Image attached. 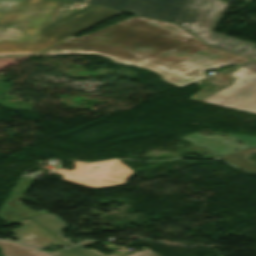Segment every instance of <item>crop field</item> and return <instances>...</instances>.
Segmentation results:
<instances>
[{
    "instance_id": "5a996713",
    "label": "crop field",
    "mask_w": 256,
    "mask_h": 256,
    "mask_svg": "<svg viewBox=\"0 0 256 256\" xmlns=\"http://www.w3.org/2000/svg\"><path fill=\"white\" fill-rule=\"evenodd\" d=\"M32 219L58 238H60L62 235L60 230L68 227L65 224L64 220H62L54 215H51L49 213L32 218ZM60 239H62V238H60ZM62 240L70 246L73 245V243L71 242L72 240L69 238L62 239Z\"/></svg>"
},
{
    "instance_id": "8a807250",
    "label": "crop field",
    "mask_w": 256,
    "mask_h": 256,
    "mask_svg": "<svg viewBox=\"0 0 256 256\" xmlns=\"http://www.w3.org/2000/svg\"><path fill=\"white\" fill-rule=\"evenodd\" d=\"M50 49L88 51L115 57L187 82L207 77L203 73L207 69L251 61L209 48L172 23L140 17H132L79 39L70 38Z\"/></svg>"
},
{
    "instance_id": "d1516ede",
    "label": "crop field",
    "mask_w": 256,
    "mask_h": 256,
    "mask_svg": "<svg viewBox=\"0 0 256 256\" xmlns=\"http://www.w3.org/2000/svg\"><path fill=\"white\" fill-rule=\"evenodd\" d=\"M92 242H95V241H85V242H83V243H81V244H79V245H77L73 248L77 249L78 251H80L81 253H83L86 256H106L105 254H103V253H101V252H99L95 249L85 250V249L81 248V246L92 243ZM107 256H117V255H115L113 253V254L107 255Z\"/></svg>"
},
{
    "instance_id": "e52e79f7",
    "label": "crop field",
    "mask_w": 256,
    "mask_h": 256,
    "mask_svg": "<svg viewBox=\"0 0 256 256\" xmlns=\"http://www.w3.org/2000/svg\"><path fill=\"white\" fill-rule=\"evenodd\" d=\"M256 74V61L245 64ZM252 83V82H251ZM219 106L256 113V80L219 104Z\"/></svg>"
},
{
    "instance_id": "5142ce71",
    "label": "crop field",
    "mask_w": 256,
    "mask_h": 256,
    "mask_svg": "<svg viewBox=\"0 0 256 256\" xmlns=\"http://www.w3.org/2000/svg\"><path fill=\"white\" fill-rule=\"evenodd\" d=\"M75 1H81V2H85V0H75Z\"/></svg>"
},
{
    "instance_id": "f4fd0767",
    "label": "crop field",
    "mask_w": 256,
    "mask_h": 256,
    "mask_svg": "<svg viewBox=\"0 0 256 256\" xmlns=\"http://www.w3.org/2000/svg\"><path fill=\"white\" fill-rule=\"evenodd\" d=\"M182 139L190 141L193 145L207 148L213 155L223 156L236 150H243L256 145V137L230 134L227 138L219 136H201L197 133L191 134ZM230 139V141H227ZM239 141L243 146L235 143Z\"/></svg>"
},
{
    "instance_id": "ac0d7876",
    "label": "crop field",
    "mask_w": 256,
    "mask_h": 256,
    "mask_svg": "<svg viewBox=\"0 0 256 256\" xmlns=\"http://www.w3.org/2000/svg\"><path fill=\"white\" fill-rule=\"evenodd\" d=\"M119 13L61 0H0V56L33 55Z\"/></svg>"
},
{
    "instance_id": "34b2d1b8",
    "label": "crop field",
    "mask_w": 256,
    "mask_h": 256,
    "mask_svg": "<svg viewBox=\"0 0 256 256\" xmlns=\"http://www.w3.org/2000/svg\"><path fill=\"white\" fill-rule=\"evenodd\" d=\"M121 12L174 22L206 44L256 59V45L214 33L227 5L219 0H86Z\"/></svg>"
},
{
    "instance_id": "d8731c3e",
    "label": "crop field",
    "mask_w": 256,
    "mask_h": 256,
    "mask_svg": "<svg viewBox=\"0 0 256 256\" xmlns=\"http://www.w3.org/2000/svg\"><path fill=\"white\" fill-rule=\"evenodd\" d=\"M1 254L4 256H84L76 250L60 249L54 252H41L17 242L0 240Z\"/></svg>"
},
{
    "instance_id": "22f410ed",
    "label": "crop field",
    "mask_w": 256,
    "mask_h": 256,
    "mask_svg": "<svg viewBox=\"0 0 256 256\" xmlns=\"http://www.w3.org/2000/svg\"><path fill=\"white\" fill-rule=\"evenodd\" d=\"M128 256H159V255L154 253L153 251L147 249V250H144V251H141V252H138V253H135V254H131V255H128Z\"/></svg>"
},
{
    "instance_id": "412701ff",
    "label": "crop field",
    "mask_w": 256,
    "mask_h": 256,
    "mask_svg": "<svg viewBox=\"0 0 256 256\" xmlns=\"http://www.w3.org/2000/svg\"><path fill=\"white\" fill-rule=\"evenodd\" d=\"M254 79H256V75L243 65L232 74H220L206 79L220 88L203 90L191 99L217 105L250 84Z\"/></svg>"
},
{
    "instance_id": "cbeb9de0",
    "label": "crop field",
    "mask_w": 256,
    "mask_h": 256,
    "mask_svg": "<svg viewBox=\"0 0 256 256\" xmlns=\"http://www.w3.org/2000/svg\"><path fill=\"white\" fill-rule=\"evenodd\" d=\"M245 151H247V152L256 151V146H255V147H252V148H249V149H246Z\"/></svg>"
},
{
    "instance_id": "dd49c442",
    "label": "crop field",
    "mask_w": 256,
    "mask_h": 256,
    "mask_svg": "<svg viewBox=\"0 0 256 256\" xmlns=\"http://www.w3.org/2000/svg\"><path fill=\"white\" fill-rule=\"evenodd\" d=\"M19 224L23 228L12 230V232L16 234L13 238L20 242L36 248H46L50 244L68 247L30 219L19 222Z\"/></svg>"
},
{
    "instance_id": "28ad6ade",
    "label": "crop field",
    "mask_w": 256,
    "mask_h": 256,
    "mask_svg": "<svg viewBox=\"0 0 256 256\" xmlns=\"http://www.w3.org/2000/svg\"><path fill=\"white\" fill-rule=\"evenodd\" d=\"M248 153L244 151L235 152L233 154L221 157L224 161L236 166L237 168L244 171L256 172V164H253L246 160Z\"/></svg>"
},
{
    "instance_id": "3316defc",
    "label": "crop field",
    "mask_w": 256,
    "mask_h": 256,
    "mask_svg": "<svg viewBox=\"0 0 256 256\" xmlns=\"http://www.w3.org/2000/svg\"><path fill=\"white\" fill-rule=\"evenodd\" d=\"M65 53H82V54H94V53H88V52H77V51H66V50H50V49H45L35 55H56V54H65ZM94 55H98V54H94ZM99 56H102V55H99ZM106 57V56H105ZM110 58V57H108ZM112 59L113 61L115 62H119V63H125V64H133V65H136L138 67H141V68H145V69H149V70H153V71H156L154 69H151V68H148V67H145V66H142V65H138V64H135V63H131V62H127V61H123V60H119V59H115V58H110ZM158 72L159 74H161L164 78V80L166 81H169V82H172L178 86H183L185 84H187V82H184V81H181L175 77H172L170 75H167V74H164L162 72H159V71H156ZM188 85V84H187Z\"/></svg>"
}]
</instances>
